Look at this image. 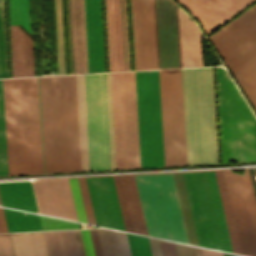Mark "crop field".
<instances>
[{"instance_id": "obj_41", "label": "crop field", "mask_w": 256, "mask_h": 256, "mask_svg": "<svg viewBox=\"0 0 256 256\" xmlns=\"http://www.w3.org/2000/svg\"><path fill=\"white\" fill-rule=\"evenodd\" d=\"M2 77H7V69L3 20V3L2 0H0V78Z\"/></svg>"}, {"instance_id": "obj_43", "label": "crop field", "mask_w": 256, "mask_h": 256, "mask_svg": "<svg viewBox=\"0 0 256 256\" xmlns=\"http://www.w3.org/2000/svg\"><path fill=\"white\" fill-rule=\"evenodd\" d=\"M0 256H13L8 234H0Z\"/></svg>"}, {"instance_id": "obj_14", "label": "crop field", "mask_w": 256, "mask_h": 256, "mask_svg": "<svg viewBox=\"0 0 256 256\" xmlns=\"http://www.w3.org/2000/svg\"><path fill=\"white\" fill-rule=\"evenodd\" d=\"M159 69L181 67L177 6L155 0Z\"/></svg>"}, {"instance_id": "obj_19", "label": "crop field", "mask_w": 256, "mask_h": 256, "mask_svg": "<svg viewBox=\"0 0 256 256\" xmlns=\"http://www.w3.org/2000/svg\"><path fill=\"white\" fill-rule=\"evenodd\" d=\"M89 73L105 72L101 0H85Z\"/></svg>"}, {"instance_id": "obj_12", "label": "crop field", "mask_w": 256, "mask_h": 256, "mask_svg": "<svg viewBox=\"0 0 256 256\" xmlns=\"http://www.w3.org/2000/svg\"><path fill=\"white\" fill-rule=\"evenodd\" d=\"M183 175L200 246L223 251L205 172Z\"/></svg>"}, {"instance_id": "obj_20", "label": "crop field", "mask_w": 256, "mask_h": 256, "mask_svg": "<svg viewBox=\"0 0 256 256\" xmlns=\"http://www.w3.org/2000/svg\"><path fill=\"white\" fill-rule=\"evenodd\" d=\"M113 179L126 231L147 235L133 176Z\"/></svg>"}, {"instance_id": "obj_18", "label": "crop field", "mask_w": 256, "mask_h": 256, "mask_svg": "<svg viewBox=\"0 0 256 256\" xmlns=\"http://www.w3.org/2000/svg\"><path fill=\"white\" fill-rule=\"evenodd\" d=\"M201 24L206 34L253 0H176ZM252 3V2H251Z\"/></svg>"}, {"instance_id": "obj_46", "label": "crop field", "mask_w": 256, "mask_h": 256, "mask_svg": "<svg viewBox=\"0 0 256 256\" xmlns=\"http://www.w3.org/2000/svg\"><path fill=\"white\" fill-rule=\"evenodd\" d=\"M159 242L163 256H177L174 243L161 240Z\"/></svg>"}, {"instance_id": "obj_1", "label": "crop field", "mask_w": 256, "mask_h": 256, "mask_svg": "<svg viewBox=\"0 0 256 256\" xmlns=\"http://www.w3.org/2000/svg\"><path fill=\"white\" fill-rule=\"evenodd\" d=\"M45 173L81 171L75 75L39 77Z\"/></svg>"}, {"instance_id": "obj_8", "label": "crop field", "mask_w": 256, "mask_h": 256, "mask_svg": "<svg viewBox=\"0 0 256 256\" xmlns=\"http://www.w3.org/2000/svg\"><path fill=\"white\" fill-rule=\"evenodd\" d=\"M165 167L186 165L181 69L159 70Z\"/></svg>"}, {"instance_id": "obj_39", "label": "crop field", "mask_w": 256, "mask_h": 256, "mask_svg": "<svg viewBox=\"0 0 256 256\" xmlns=\"http://www.w3.org/2000/svg\"><path fill=\"white\" fill-rule=\"evenodd\" d=\"M78 221L86 222L84 207L77 178L68 179Z\"/></svg>"}, {"instance_id": "obj_45", "label": "crop field", "mask_w": 256, "mask_h": 256, "mask_svg": "<svg viewBox=\"0 0 256 256\" xmlns=\"http://www.w3.org/2000/svg\"><path fill=\"white\" fill-rule=\"evenodd\" d=\"M25 41H26L28 76H34L33 59H32V41L31 40L29 41L26 36H25Z\"/></svg>"}, {"instance_id": "obj_21", "label": "crop field", "mask_w": 256, "mask_h": 256, "mask_svg": "<svg viewBox=\"0 0 256 256\" xmlns=\"http://www.w3.org/2000/svg\"><path fill=\"white\" fill-rule=\"evenodd\" d=\"M178 10L188 18L179 8ZM179 14V29H180V45H181V60L182 67L202 66V52H201V32L193 24L184 17L180 12Z\"/></svg>"}, {"instance_id": "obj_3", "label": "crop field", "mask_w": 256, "mask_h": 256, "mask_svg": "<svg viewBox=\"0 0 256 256\" xmlns=\"http://www.w3.org/2000/svg\"><path fill=\"white\" fill-rule=\"evenodd\" d=\"M187 165L218 164L212 67L182 69Z\"/></svg>"}, {"instance_id": "obj_48", "label": "crop field", "mask_w": 256, "mask_h": 256, "mask_svg": "<svg viewBox=\"0 0 256 256\" xmlns=\"http://www.w3.org/2000/svg\"><path fill=\"white\" fill-rule=\"evenodd\" d=\"M175 245H176L178 256H191L189 246L177 244V243H175Z\"/></svg>"}, {"instance_id": "obj_16", "label": "crop field", "mask_w": 256, "mask_h": 256, "mask_svg": "<svg viewBox=\"0 0 256 256\" xmlns=\"http://www.w3.org/2000/svg\"><path fill=\"white\" fill-rule=\"evenodd\" d=\"M86 180L97 225L125 231L112 177Z\"/></svg>"}, {"instance_id": "obj_36", "label": "crop field", "mask_w": 256, "mask_h": 256, "mask_svg": "<svg viewBox=\"0 0 256 256\" xmlns=\"http://www.w3.org/2000/svg\"><path fill=\"white\" fill-rule=\"evenodd\" d=\"M4 175H8V167H7L3 87H2V79H0V176H4Z\"/></svg>"}, {"instance_id": "obj_44", "label": "crop field", "mask_w": 256, "mask_h": 256, "mask_svg": "<svg viewBox=\"0 0 256 256\" xmlns=\"http://www.w3.org/2000/svg\"><path fill=\"white\" fill-rule=\"evenodd\" d=\"M86 256H95L89 230H80Z\"/></svg>"}, {"instance_id": "obj_28", "label": "crop field", "mask_w": 256, "mask_h": 256, "mask_svg": "<svg viewBox=\"0 0 256 256\" xmlns=\"http://www.w3.org/2000/svg\"><path fill=\"white\" fill-rule=\"evenodd\" d=\"M19 26H10L13 77L27 76L24 34Z\"/></svg>"}, {"instance_id": "obj_49", "label": "crop field", "mask_w": 256, "mask_h": 256, "mask_svg": "<svg viewBox=\"0 0 256 256\" xmlns=\"http://www.w3.org/2000/svg\"><path fill=\"white\" fill-rule=\"evenodd\" d=\"M149 240H150L152 255L153 256H162L158 240L151 239V238H149Z\"/></svg>"}, {"instance_id": "obj_22", "label": "crop field", "mask_w": 256, "mask_h": 256, "mask_svg": "<svg viewBox=\"0 0 256 256\" xmlns=\"http://www.w3.org/2000/svg\"><path fill=\"white\" fill-rule=\"evenodd\" d=\"M0 196L5 207L38 213L31 182H0Z\"/></svg>"}, {"instance_id": "obj_11", "label": "crop field", "mask_w": 256, "mask_h": 256, "mask_svg": "<svg viewBox=\"0 0 256 256\" xmlns=\"http://www.w3.org/2000/svg\"><path fill=\"white\" fill-rule=\"evenodd\" d=\"M209 38L231 73L235 71L256 55V5Z\"/></svg>"}, {"instance_id": "obj_25", "label": "crop field", "mask_w": 256, "mask_h": 256, "mask_svg": "<svg viewBox=\"0 0 256 256\" xmlns=\"http://www.w3.org/2000/svg\"><path fill=\"white\" fill-rule=\"evenodd\" d=\"M49 256H80L74 230L43 232Z\"/></svg>"}, {"instance_id": "obj_40", "label": "crop field", "mask_w": 256, "mask_h": 256, "mask_svg": "<svg viewBox=\"0 0 256 256\" xmlns=\"http://www.w3.org/2000/svg\"><path fill=\"white\" fill-rule=\"evenodd\" d=\"M40 216L41 224L43 230H52V229H70V228H79L78 223L46 217V216Z\"/></svg>"}, {"instance_id": "obj_54", "label": "crop field", "mask_w": 256, "mask_h": 256, "mask_svg": "<svg viewBox=\"0 0 256 256\" xmlns=\"http://www.w3.org/2000/svg\"><path fill=\"white\" fill-rule=\"evenodd\" d=\"M0 205H1V202H0Z\"/></svg>"}, {"instance_id": "obj_37", "label": "crop field", "mask_w": 256, "mask_h": 256, "mask_svg": "<svg viewBox=\"0 0 256 256\" xmlns=\"http://www.w3.org/2000/svg\"><path fill=\"white\" fill-rule=\"evenodd\" d=\"M126 235L132 256H152L148 238L128 233Z\"/></svg>"}, {"instance_id": "obj_31", "label": "crop field", "mask_w": 256, "mask_h": 256, "mask_svg": "<svg viewBox=\"0 0 256 256\" xmlns=\"http://www.w3.org/2000/svg\"><path fill=\"white\" fill-rule=\"evenodd\" d=\"M3 210L9 232L42 230L38 215L5 208Z\"/></svg>"}, {"instance_id": "obj_15", "label": "crop field", "mask_w": 256, "mask_h": 256, "mask_svg": "<svg viewBox=\"0 0 256 256\" xmlns=\"http://www.w3.org/2000/svg\"><path fill=\"white\" fill-rule=\"evenodd\" d=\"M110 72L130 70L126 0H106Z\"/></svg>"}, {"instance_id": "obj_5", "label": "crop field", "mask_w": 256, "mask_h": 256, "mask_svg": "<svg viewBox=\"0 0 256 256\" xmlns=\"http://www.w3.org/2000/svg\"><path fill=\"white\" fill-rule=\"evenodd\" d=\"M134 178L148 235L188 244L172 174Z\"/></svg>"}, {"instance_id": "obj_6", "label": "crop field", "mask_w": 256, "mask_h": 256, "mask_svg": "<svg viewBox=\"0 0 256 256\" xmlns=\"http://www.w3.org/2000/svg\"><path fill=\"white\" fill-rule=\"evenodd\" d=\"M141 168L164 167L158 70L135 72Z\"/></svg>"}, {"instance_id": "obj_23", "label": "crop field", "mask_w": 256, "mask_h": 256, "mask_svg": "<svg viewBox=\"0 0 256 256\" xmlns=\"http://www.w3.org/2000/svg\"><path fill=\"white\" fill-rule=\"evenodd\" d=\"M74 74L87 73L84 4L71 0Z\"/></svg>"}, {"instance_id": "obj_33", "label": "crop field", "mask_w": 256, "mask_h": 256, "mask_svg": "<svg viewBox=\"0 0 256 256\" xmlns=\"http://www.w3.org/2000/svg\"><path fill=\"white\" fill-rule=\"evenodd\" d=\"M206 174H207L208 183L211 191V196L213 200V205L215 209V214H216L217 223L220 231L223 249L226 252L232 253L227 230H226V225H225V221L222 213V208L219 200V195L216 187V182L214 178L215 173L213 174V172H206Z\"/></svg>"}, {"instance_id": "obj_50", "label": "crop field", "mask_w": 256, "mask_h": 256, "mask_svg": "<svg viewBox=\"0 0 256 256\" xmlns=\"http://www.w3.org/2000/svg\"><path fill=\"white\" fill-rule=\"evenodd\" d=\"M0 232H8L3 210L1 207H0Z\"/></svg>"}, {"instance_id": "obj_27", "label": "crop field", "mask_w": 256, "mask_h": 256, "mask_svg": "<svg viewBox=\"0 0 256 256\" xmlns=\"http://www.w3.org/2000/svg\"><path fill=\"white\" fill-rule=\"evenodd\" d=\"M104 256H131L123 232L98 229Z\"/></svg>"}, {"instance_id": "obj_32", "label": "crop field", "mask_w": 256, "mask_h": 256, "mask_svg": "<svg viewBox=\"0 0 256 256\" xmlns=\"http://www.w3.org/2000/svg\"><path fill=\"white\" fill-rule=\"evenodd\" d=\"M233 74L256 109V57Z\"/></svg>"}, {"instance_id": "obj_17", "label": "crop field", "mask_w": 256, "mask_h": 256, "mask_svg": "<svg viewBox=\"0 0 256 256\" xmlns=\"http://www.w3.org/2000/svg\"><path fill=\"white\" fill-rule=\"evenodd\" d=\"M32 183L40 213L77 221L67 179Z\"/></svg>"}, {"instance_id": "obj_2", "label": "crop field", "mask_w": 256, "mask_h": 256, "mask_svg": "<svg viewBox=\"0 0 256 256\" xmlns=\"http://www.w3.org/2000/svg\"><path fill=\"white\" fill-rule=\"evenodd\" d=\"M3 87L9 175L43 173L37 77Z\"/></svg>"}, {"instance_id": "obj_24", "label": "crop field", "mask_w": 256, "mask_h": 256, "mask_svg": "<svg viewBox=\"0 0 256 256\" xmlns=\"http://www.w3.org/2000/svg\"><path fill=\"white\" fill-rule=\"evenodd\" d=\"M76 86L82 171H91L84 75H76Z\"/></svg>"}, {"instance_id": "obj_29", "label": "crop field", "mask_w": 256, "mask_h": 256, "mask_svg": "<svg viewBox=\"0 0 256 256\" xmlns=\"http://www.w3.org/2000/svg\"><path fill=\"white\" fill-rule=\"evenodd\" d=\"M175 185L178 193V198L180 202V207L182 211V216L184 220V225L187 233L188 242L191 245H197L198 240L196 236V231L193 223V218L190 210V205L188 201V196L185 188V183L182 173L173 174Z\"/></svg>"}, {"instance_id": "obj_53", "label": "crop field", "mask_w": 256, "mask_h": 256, "mask_svg": "<svg viewBox=\"0 0 256 256\" xmlns=\"http://www.w3.org/2000/svg\"><path fill=\"white\" fill-rule=\"evenodd\" d=\"M225 256H238V255H232V254H226L224 253Z\"/></svg>"}, {"instance_id": "obj_51", "label": "crop field", "mask_w": 256, "mask_h": 256, "mask_svg": "<svg viewBox=\"0 0 256 256\" xmlns=\"http://www.w3.org/2000/svg\"><path fill=\"white\" fill-rule=\"evenodd\" d=\"M200 250H201L202 256H224L223 253L221 252L211 251V250L202 249V248H200Z\"/></svg>"}, {"instance_id": "obj_7", "label": "crop field", "mask_w": 256, "mask_h": 256, "mask_svg": "<svg viewBox=\"0 0 256 256\" xmlns=\"http://www.w3.org/2000/svg\"><path fill=\"white\" fill-rule=\"evenodd\" d=\"M117 169L140 168L134 72L111 73Z\"/></svg>"}, {"instance_id": "obj_9", "label": "crop field", "mask_w": 256, "mask_h": 256, "mask_svg": "<svg viewBox=\"0 0 256 256\" xmlns=\"http://www.w3.org/2000/svg\"><path fill=\"white\" fill-rule=\"evenodd\" d=\"M85 81L92 171L111 170L105 73Z\"/></svg>"}, {"instance_id": "obj_4", "label": "crop field", "mask_w": 256, "mask_h": 256, "mask_svg": "<svg viewBox=\"0 0 256 256\" xmlns=\"http://www.w3.org/2000/svg\"><path fill=\"white\" fill-rule=\"evenodd\" d=\"M216 75L221 163L256 161V119L225 69Z\"/></svg>"}, {"instance_id": "obj_52", "label": "crop field", "mask_w": 256, "mask_h": 256, "mask_svg": "<svg viewBox=\"0 0 256 256\" xmlns=\"http://www.w3.org/2000/svg\"><path fill=\"white\" fill-rule=\"evenodd\" d=\"M190 248H191L192 256H201L199 248L192 247V246H190Z\"/></svg>"}, {"instance_id": "obj_38", "label": "crop field", "mask_w": 256, "mask_h": 256, "mask_svg": "<svg viewBox=\"0 0 256 256\" xmlns=\"http://www.w3.org/2000/svg\"><path fill=\"white\" fill-rule=\"evenodd\" d=\"M106 81H107V97H108V113H109L111 162H112V170H114V169H116V161H115V145H114V129H113V113H112L110 73H106Z\"/></svg>"}, {"instance_id": "obj_47", "label": "crop field", "mask_w": 256, "mask_h": 256, "mask_svg": "<svg viewBox=\"0 0 256 256\" xmlns=\"http://www.w3.org/2000/svg\"><path fill=\"white\" fill-rule=\"evenodd\" d=\"M94 245L95 255L103 256L97 229L90 230Z\"/></svg>"}, {"instance_id": "obj_10", "label": "crop field", "mask_w": 256, "mask_h": 256, "mask_svg": "<svg viewBox=\"0 0 256 256\" xmlns=\"http://www.w3.org/2000/svg\"><path fill=\"white\" fill-rule=\"evenodd\" d=\"M241 252L256 256V199L249 170L223 171Z\"/></svg>"}, {"instance_id": "obj_30", "label": "crop field", "mask_w": 256, "mask_h": 256, "mask_svg": "<svg viewBox=\"0 0 256 256\" xmlns=\"http://www.w3.org/2000/svg\"><path fill=\"white\" fill-rule=\"evenodd\" d=\"M233 253L241 254L222 171L214 172Z\"/></svg>"}, {"instance_id": "obj_26", "label": "crop field", "mask_w": 256, "mask_h": 256, "mask_svg": "<svg viewBox=\"0 0 256 256\" xmlns=\"http://www.w3.org/2000/svg\"><path fill=\"white\" fill-rule=\"evenodd\" d=\"M14 256H48L42 232L9 234Z\"/></svg>"}, {"instance_id": "obj_34", "label": "crop field", "mask_w": 256, "mask_h": 256, "mask_svg": "<svg viewBox=\"0 0 256 256\" xmlns=\"http://www.w3.org/2000/svg\"><path fill=\"white\" fill-rule=\"evenodd\" d=\"M57 34L58 74H65L62 0H54Z\"/></svg>"}, {"instance_id": "obj_42", "label": "crop field", "mask_w": 256, "mask_h": 256, "mask_svg": "<svg viewBox=\"0 0 256 256\" xmlns=\"http://www.w3.org/2000/svg\"><path fill=\"white\" fill-rule=\"evenodd\" d=\"M78 180H79V184H80V189H81V194H82L83 203H84V207H85L87 221H88V223H91V224H93V222H94V224L96 225L95 219H94V215H93L92 206H91V202H90V197H89V193H88V188H87L86 180H85V178H83L84 184H85V188H86V192H87V197H88L89 205H90V210H91V214H92V218H93V222H92V218H91V214H90V210H89V205H88V201H87V197H86V192H85L83 180H82V178H78Z\"/></svg>"}, {"instance_id": "obj_35", "label": "crop field", "mask_w": 256, "mask_h": 256, "mask_svg": "<svg viewBox=\"0 0 256 256\" xmlns=\"http://www.w3.org/2000/svg\"><path fill=\"white\" fill-rule=\"evenodd\" d=\"M11 24H20L30 33L28 0H9Z\"/></svg>"}, {"instance_id": "obj_13", "label": "crop field", "mask_w": 256, "mask_h": 256, "mask_svg": "<svg viewBox=\"0 0 256 256\" xmlns=\"http://www.w3.org/2000/svg\"><path fill=\"white\" fill-rule=\"evenodd\" d=\"M135 70L158 69L154 0H130Z\"/></svg>"}]
</instances>
